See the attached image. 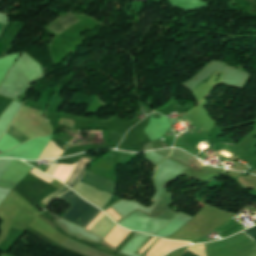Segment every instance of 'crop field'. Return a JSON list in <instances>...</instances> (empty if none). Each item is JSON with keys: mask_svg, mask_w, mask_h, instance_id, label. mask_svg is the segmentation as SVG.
Returning <instances> with one entry per match:
<instances>
[{"mask_svg": "<svg viewBox=\"0 0 256 256\" xmlns=\"http://www.w3.org/2000/svg\"><path fill=\"white\" fill-rule=\"evenodd\" d=\"M105 213L114 221L121 218L112 208Z\"/></svg>", "mask_w": 256, "mask_h": 256, "instance_id": "obj_9", "label": "crop field"}, {"mask_svg": "<svg viewBox=\"0 0 256 256\" xmlns=\"http://www.w3.org/2000/svg\"><path fill=\"white\" fill-rule=\"evenodd\" d=\"M72 190L81 195L83 199L89 201L90 203L101 209L111 196V194L109 193H106L104 191H98L81 182H79Z\"/></svg>", "mask_w": 256, "mask_h": 256, "instance_id": "obj_3", "label": "crop field"}, {"mask_svg": "<svg viewBox=\"0 0 256 256\" xmlns=\"http://www.w3.org/2000/svg\"><path fill=\"white\" fill-rule=\"evenodd\" d=\"M58 199L73 205L62 216V218L72 221L84 228L101 211L89 203L83 201L81 197H79L75 192L71 190L69 193H66L64 196Z\"/></svg>", "mask_w": 256, "mask_h": 256, "instance_id": "obj_1", "label": "crop field"}, {"mask_svg": "<svg viewBox=\"0 0 256 256\" xmlns=\"http://www.w3.org/2000/svg\"><path fill=\"white\" fill-rule=\"evenodd\" d=\"M93 161V159H87V158H83L81 157L80 161L75 164L72 165H66V164H62V166L60 167L59 171L57 172V174L55 175L56 178H58L60 181L64 182L68 179L69 175L71 174L72 170V174L70 175L69 179L67 180V182L65 183L66 185H68L69 187H73L74 185H76L81 178L84 176L85 172H86V166Z\"/></svg>", "mask_w": 256, "mask_h": 256, "instance_id": "obj_2", "label": "crop field"}, {"mask_svg": "<svg viewBox=\"0 0 256 256\" xmlns=\"http://www.w3.org/2000/svg\"><path fill=\"white\" fill-rule=\"evenodd\" d=\"M3 27H4V26L0 25V32H1V30L3 29Z\"/></svg>", "mask_w": 256, "mask_h": 256, "instance_id": "obj_11", "label": "crop field"}, {"mask_svg": "<svg viewBox=\"0 0 256 256\" xmlns=\"http://www.w3.org/2000/svg\"><path fill=\"white\" fill-rule=\"evenodd\" d=\"M247 235H249L254 240L256 239V226L246 230Z\"/></svg>", "mask_w": 256, "mask_h": 256, "instance_id": "obj_10", "label": "crop field"}, {"mask_svg": "<svg viewBox=\"0 0 256 256\" xmlns=\"http://www.w3.org/2000/svg\"><path fill=\"white\" fill-rule=\"evenodd\" d=\"M81 182L109 192L111 194L114 193V187L116 184L115 182L102 178L90 171H87L85 177L81 180Z\"/></svg>", "mask_w": 256, "mask_h": 256, "instance_id": "obj_5", "label": "crop field"}, {"mask_svg": "<svg viewBox=\"0 0 256 256\" xmlns=\"http://www.w3.org/2000/svg\"><path fill=\"white\" fill-rule=\"evenodd\" d=\"M77 21L79 20L76 19L73 15L68 14L48 29L59 34L65 29H67L68 27H70L71 25H73L74 23H76Z\"/></svg>", "mask_w": 256, "mask_h": 256, "instance_id": "obj_6", "label": "crop field"}, {"mask_svg": "<svg viewBox=\"0 0 256 256\" xmlns=\"http://www.w3.org/2000/svg\"><path fill=\"white\" fill-rule=\"evenodd\" d=\"M182 256H188V255H186V254H184V253H183V255H182Z\"/></svg>", "mask_w": 256, "mask_h": 256, "instance_id": "obj_12", "label": "crop field"}, {"mask_svg": "<svg viewBox=\"0 0 256 256\" xmlns=\"http://www.w3.org/2000/svg\"><path fill=\"white\" fill-rule=\"evenodd\" d=\"M104 213H100L87 227L88 230ZM115 226V224L108 218L107 215H103L90 229L89 231L105 237L109 231Z\"/></svg>", "mask_w": 256, "mask_h": 256, "instance_id": "obj_4", "label": "crop field"}, {"mask_svg": "<svg viewBox=\"0 0 256 256\" xmlns=\"http://www.w3.org/2000/svg\"><path fill=\"white\" fill-rule=\"evenodd\" d=\"M67 190H69V188L67 187H62L59 190H57L56 192L52 193L51 195H49L48 197H46L42 203L48 205L52 200H54L56 197L60 196L61 194H63L64 192H66Z\"/></svg>", "mask_w": 256, "mask_h": 256, "instance_id": "obj_7", "label": "crop field"}, {"mask_svg": "<svg viewBox=\"0 0 256 256\" xmlns=\"http://www.w3.org/2000/svg\"><path fill=\"white\" fill-rule=\"evenodd\" d=\"M152 238H153V237L150 236V237L147 239V241L136 251V253L138 254ZM155 240H156V239L153 238V239L147 244V246H146L140 253L143 254ZM159 240H160V238H158V239L151 245V247H150L143 255H145Z\"/></svg>", "mask_w": 256, "mask_h": 256, "instance_id": "obj_8", "label": "crop field"}]
</instances>
